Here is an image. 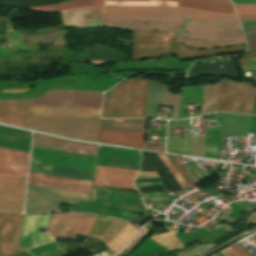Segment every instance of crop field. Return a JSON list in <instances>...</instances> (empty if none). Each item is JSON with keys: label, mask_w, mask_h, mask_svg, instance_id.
<instances>
[{"label": "crop field", "mask_w": 256, "mask_h": 256, "mask_svg": "<svg viewBox=\"0 0 256 256\" xmlns=\"http://www.w3.org/2000/svg\"><path fill=\"white\" fill-rule=\"evenodd\" d=\"M103 93L51 91L30 100V105L101 107ZM30 106L29 116L43 118L100 119L101 108ZM29 100H0V122L26 126ZM29 117L26 128L96 142L99 120ZM147 119H100L99 129L146 131Z\"/></svg>", "instance_id": "crop-field-1"}, {"label": "crop field", "mask_w": 256, "mask_h": 256, "mask_svg": "<svg viewBox=\"0 0 256 256\" xmlns=\"http://www.w3.org/2000/svg\"><path fill=\"white\" fill-rule=\"evenodd\" d=\"M101 25L126 30L179 31L177 42L199 49L246 43L235 15L191 9L105 6Z\"/></svg>", "instance_id": "crop-field-2"}, {"label": "crop field", "mask_w": 256, "mask_h": 256, "mask_svg": "<svg viewBox=\"0 0 256 256\" xmlns=\"http://www.w3.org/2000/svg\"><path fill=\"white\" fill-rule=\"evenodd\" d=\"M32 146L96 156L97 145L34 133ZM32 147V152L95 162L96 157ZM32 153L31 161L94 171L95 163ZM31 162L32 173L93 181L94 172ZM29 173L28 183L91 193L93 182Z\"/></svg>", "instance_id": "crop-field-3"}, {"label": "crop field", "mask_w": 256, "mask_h": 256, "mask_svg": "<svg viewBox=\"0 0 256 256\" xmlns=\"http://www.w3.org/2000/svg\"><path fill=\"white\" fill-rule=\"evenodd\" d=\"M31 132L0 126V147L29 153ZM0 148V183L25 184L29 154ZM25 185L0 184V211L21 212Z\"/></svg>", "instance_id": "crop-field-4"}, {"label": "crop field", "mask_w": 256, "mask_h": 256, "mask_svg": "<svg viewBox=\"0 0 256 256\" xmlns=\"http://www.w3.org/2000/svg\"><path fill=\"white\" fill-rule=\"evenodd\" d=\"M140 153L135 150L99 146L97 165L138 170ZM97 166L94 185L134 189L138 171ZM92 201L145 209L143 199L94 189Z\"/></svg>", "instance_id": "crop-field-5"}, {"label": "crop field", "mask_w": 256, "mask_h": 256, "mask_svg": "<svg viewBox=\"0 0 256 256\" xmlns=\"http://www.w3.org/2000/svg\"><path fill=\"white\" fill-rule=\"evenodd\" d=\"M178 32L134 31L133 59L161 57L173 53L183 59H199L225 53L245 52L246 45L231 46L214 51L191 50L175 43Z\"/></svg>", "instance_id": "crop-field-6"}, {"label": "crop field", "mask_w": 256, "mask_h": 256, "mask_svg": "<svg viewBox=\"0 0 256 256\" xmlns=\"http://www.w3.org/2000/svg\"><path fill=\"white\" fill-rule=\"evenodd\" d=\"M236 82L221 80L219 84L204 86L203 114L217 111L232 113ZM256 87L247 83H237L233 113L251 114Z\"/></svg>", "instance_id": "crop-field-7"}, {"label": "crop field", "mask_w": 256, "mask_h": 256, "mask_svg": "<svg viewBox=\"0 0 256 256\" xmlns=\"http://www.w3.org/2000/svg\"><path fill=\"white\" fill-rule=\"evenodd\" d=\"M127 80L105 94L103 118L122 117ZM148 79H128L123 117H143Z\"/></svg>", "instance_id": "crop-field-8"}, {"label": "crop field", "mask_w": 256, "mask_h": 256, "mask_svg": "<svg viewBox=\"0 0 256 256\" xmlns=\"http://www.w3.org/2000/svg\"><path fill=\"white\" fill-rule=\"evenodd\" d=\"M94 219V216L83 214H55L52 216L50 227L45 233L55 238H75L76 234L87 236Z\"/></svg>", "instance_id": "crop-field-9"}, {"label": "crop field", "mask_w": 256, "mask_h": 256, "mask_svg": "<svg viewBox=\"0 0 256 256\" xmlns=\"http://www.w3.org/2000/svg\"><path fill=\"white\" fill-rule=\"evenodd\" d=\"M51 216L52 215H24L20 246L25 251L55 242L54 238L43 232H39V229L48 227Z\"/></svg>", "instance_id": "crop-field-10"}, {"label": "crop field", "mask_w": 256, "mask_h": 256, "mask_svg": "<svg viewBox=\"0 0 256 256\" xmlns=\"http://www.w3.org/2000/svg\"><path fill=\"white\" fill-rule=\"evenodd\" d=\"M180 98L181 94H171L165 84L149 79L144 117L157 118L158 103H165L173 105V119H178Z\"/></svg>", "instance_id": "crop-field-11"}, {"label": "crop field", "mask_w": 256, "mask_h": 256, "mask_svg": "<svg viewBox=\"0 0 256 256\" xmlns=\"http://www.w3.org/2000/svg\"><path fill=\"white\" fill-rule=\"evenodd\" d=\"M22 216L20 214L0 213V228H3L0 240L2 256L23 252L18 246Z\"/></svg>", "instance_id": "crop-field-12"}, {"label": "crop field", "mask_w": 256, "mask_h": 256, "mask_svg": "<svg viewBox=\"0 0 256 256\" xmlns=\"http://www.w3.org/2000/svg\"><path fill=\"white\" fill-rule=\"evenodd\" d=\"M146 132L100 130L99 142L142 148Z\"/></svg>", "instance_id": "crop-field-13"}, {"label": "crop field", "mask_w": 256, "mask_h": 256, "mask_svg": "<svg viewBox=\"0 0 256 256\" xmlns=\"http://www.w3.org/2000/svg\"><path fill=\"white\" fill-rule=\"evenodd\" d=\"M103 7H84L60 12L64 26L84 27L100 19Z\"/></svg>", "instance_id": "crop-field-14"}, {"label": "crop field", "mask_w": 256, "mask_h": 256, "mask_svg": "<svg viewBox=\"0 0 256 256\" xmlns=\"http://www.w3.org/2000/svg\"><path fill=\"white\" fill-rule=\"evenodd\" d=\"M136 1H149V0H136ZM169 1L177 2V0H169ZM177 7L191 8V9H197V10L213 12V13L235 14L232 6L227 4H214V3H207V2L193 1V0H178Z\"/></svg>", "instance_id": "crop-field-15"}, {"label": "crop field", "mask_w": 256, "mask_h": 256, "mask_svg": "<svg viewBox=\"0 0 256 256\" xmlns=\"http://www.w3.org/2000/svg\"><path fill=\"white\" fill-rule=\"evenodd\" d=\"M219 127L206 128L205 157L219 158Z\"/></svg>", "instance_id": "crop-field-16"}, {"label": "crop field", "mask_w": 256, "mask_h": 256, "mask_svg": "<svg viewBox=\"0 0 256 256\" xmlns=\"http://www.w3.org/2000/svg\"><path fill=\"white\" fill-rule=\"evenodd\" d=\"M80 6H103V0H80V1L61 3V4H57V5L31 7L28 9L36 10V11L50 12V11H56V10L61 11L64 9L75 8V7H80Z\"/></svg>", "instance_id": "crop-field-17"}, {"label": "crop field", "mask_w": 256, "mask_h": 256, "mask_svg": "<svg viewBox=\"0 0 256 256\" xmlns=\"http://www.w3.org/2000/svg\"><path fill=\"white\" fill-rule=\"evenodd\" d=\"M188 137L185 139H167V152L189 155L190 149V119L185 120Z\"/></svg>", "instance_id": "crop-field-18"}, {"label": "crop field", "mask_w": 256, "mask_h": 256, "mask_svg": "<svg viewBox=\"0 0 256 256\" xmlns=\"http://www.w3.org/2000/svg\"><path fill=\"white\" fill-rule=\"evenodd\" d=\"M135 227L127 223L124 229L107 245L114 251H119L138 232Z\"/></svg>", "instance_id": "crop-field-19"}, {"label": "crop field", "mask_w": 256, "mask_h": 256, "mask_svg": "<svg viewBox=\"0 0 256 256\" xmlns=\"http://www.w3.org/2000/svg\"><path fill=\"white\" fill-rule=\"evenodd\" d=\"M184 102H203V87L183 88L179 119L184 118Z\"/></svg>", "instance_id": "crop-field-20"}, {"label": "crop field", "mask_w": 256, "mask_h": 256, "mask_svg": "<svg viewBox=\"0 0 256 256\" xmlns=\"http://www.w3.org/2000/svg\"><path fill=\"white\" fill-rule=\"evenodd\" d=\"M105 5H116V6H171V7H176L177 3L168 2V1H149V2L105 1Z\"/></svg>", "instance_id": "crop-field-21"}, {"label": "crop field", "mask_w": 256, "mask_h": 256, "mask_svg": "<svg viewBox=\"0 0 256 256\" xmlns=\"http://www.w3.org/2000/svg\"><path fill=\"white\" fill-rule=\"evenodd\" d=\"M111 221V219L97 217L88 236L100 238Z\"/></svg>", "instance_id": "crop-field-22"}, {"label": "crop field", "mask_w": 256, "mask_h": 256, "mask_svg": "<svg viewBox=\"0 0 256 256\" xmlns=\"http://www.w3.org/2000/svg\"><path fill=\"white\" fill-rule=\"evenodd\" d=\"M243 30L248 42L247 53H256V27L245 28Z\"/></svg>", "instance_id": "crop-field-23"}, {"label": "crop field", "mask_w": 256, "mask_h": 256, "mask_svg": "<svg viewBox=\"0 0 256 256\" xmlns=\"http://www.w3.org/2000/svg\"><path fill=\"white\" fill-rule=\"evenodd\" d=\"M167 157L170 159V161L173 163V165L176 167L178 172L180 173L181 177L184 179V181L187 183L188 186H191L194 183L190 175L187 173L183 165L179 162L177 157L174 156H168Z\"/></svg>", "instance_id": "crop-field-24"}, {"label": "crop field", "mask_w": 256, "mask_h": 256, "mask_svg": "<svg viewBox=\"0 0 256 256\" xmlns=\"http://www.w3.org/2000/svg\"><path fill=\"white\" fill-rule=\"evenodd\" d=\"M57 250H60V249L57 246H55L53 243H51L27 252L32 256H40V255H44Z\"/></svg>", "instance_id": "crop-field-25"}, {"label": "crop field", "mask_w": 256, "mask_h": 256, "mask_svg": "<svg viewBox=\"0 0 256 256\" xmlns=\"http://www.w3.org/2000/svg\"><path fill=\"white\" fill-rule=\"evenodd\" d=\"M161 158V160L165 163V165L170 169V171L172 172V174L174 175V177L178 180V182L180 183V185L182 186V188L188 187L186 185V183L183 181V179L180 177V175L178 174L177 170L175 169V167L172 165V163L169 161V159L166 157V155H161L158 154Z\"/></svg>", "instance_id": "crop-field-26"}, {"label": "crop field", "mask_w": 256, "mask_h": 256, "mask_svg": "<svg viewBox=\"0 0 256 256\" xmlns=\"http://www.w3.org/2000/svg\"><path fill=\"white\" fill-rule=\"evenodd\" d=\"M238 14L256 13V4L234 5Z\"/></svg>", "instance_id": "crop-field-27"}, {"label": "crop field", "mask_w": 256, "mask_h": 256, "mask_svg": "<svg viewBox=\"0 0 256 256\" xmlns=\"http://www.w3.org/2000/svg\"><path fill=\"white\" fill-rule=\"evenodd\" d=\"M240 65H256V54L245 55Z\"/></svg>", "instance_id": "crop-field-28"}, {"label": "crop field", "mask_w": 256, "mask_h": 256, "mask_svg": "<svg viewBox=\"0 0 256 256\" xmlns=\"http://www.w3.org/2000/svg\"><path fill=\"white\" fill-rule=\"evenodd\" d=\"M192 171L196 174L199 180L206 178V175L201 171L196 163L190 164Z\"/></svg>", "instance_id": "crop-field-29"}, {"label": "crop field", "mask_w": 256, "mask_h": 256, "mask_svg": "<svg viewBox=\"0 0 256 256\" xmlns=\"http://www.w3.org/2000/svg\"><path fill=\"white\" fill-rule=\"evenodd\" d=\"M231 247L239 252L242 256H252L248 251H246L242 246L238 245L237 243Z\"/></svg>", "instance_id": "crop-field-30"}, {"label": "crop field", "mask_w": 256, "mask_h": 256, "mask_svg": "<svg viewBox=\"0 0 256 256\" xmlns=\"http://www.w3.org/2000/svg\"><path fill=\"white\" fill-rule=\"evenodd\" d=\"M233 4H250L256 3V0H232Z\"/></svg>", "instance_id": "crop-field-31"}, {"label": "crop field", "mask_w": 256, "mask_h": 256, "mask_svg": "<svg viewBox=\"0 0 256 256\" xmlns=\"http://www.w3.org/2000/svg\"><path fill=\"white\" fill-rule=\"evenodd\" d=\"M240 21L256 20V15L238 16Z\"/></svg>", "instance_id": "crop-field-32"}, {"label": "crop field", "mask_w": 256, "mask_h": 256, "mask_svg": "<svg viewBox=\"0 0 256 256\" xmlns=\"http://www.w3.org/2000/svg\"><path fill=\"white\" fill-rule=\"evenodd\" d=\"M224 252H226L227 254H229L230 256H241L239 253H237L234 249H232L231 247L228 248L227 250H225Z\"/></svg>", "instance_id": "crop-field-33"}, {"label": "crop field", "mask_w": 256, "mask_h": 256, "mask_svg": "<svg viewBox=\"0 0 256 256\" xmlns=\"http://www.w3.org/2000/svg\"><path fill=\"white\" fill-rule=\"evenodd\" d=\"M143 198H151V197H159V196H164L163 193H158V194H146V195H142Z\"/></svg>", "instance_id": "crop-field-34"}, {"label": "crop field", "mask_w": 256, "mask_h": 256, "mask_svg": "<svg viewBox=\"0 0 256 256\" xmlns=\"http://www.w3.org/2000/svg\"><path fill=\"white\" fill-rule=\"evenodd\" d=\"M241 24H242V27L245 28V27L255 26L256 21L244 22V23H241Z\"/></svg>", "instance_id": "crop-field-35"}, {"label": "crop field", "mask_w": 256, "mask_h": 256, "mask_svg": "<svg viewBox=\"0 0 256 256\" xmlns=\"http://www.w3.org/2000/svg\"><path fill=\"white\" fill-rule=\"evenodd\" d=\"M69 210H74V211H84V212H92V213H97V214H102V213H98V212H94V211H90V210H84V209H79V208H73V207H70ZM103 215H106V214H103ZM110 216V215H109Z\"/></svg>", "instance_id": "crop-field-36"}, {"label": "crop field", "mask_w": 256, "mask_h": 256, "mask_svg": "<svg viewBox=\"0 0 256 256\" xmlns=\"http://www.w3.org/2000/svg\"><path fill=\"white\" fill-rule=\"evenodd\" d=\"M201 1H208V2H217V3H230V0H201Z\"/></svg>", "instance_id": "crop-field-37"}, {"label": "crop field", "mask_w": 256, "mask_h": 256, "mask_svg": "<svg viewBox=\"0 0 256 256\" xmlns=\"http://www.w3.org/2000/svg\"><path fill=\"white\" fill-rule=\"evenodd\" d=\"M145 148L153 149V150H159V151H163L164 150V148H162V147H156V146H150V145H147Z\"/></svg>", "instance_id": "crop-field-38"}, {"label": "crop field", "mask_w": 256, "mask_h": 256, "mask_svg": "<svg viewBox=\"0 0 256 256\" xmlns=\"http://www.w3.org/2000/svg\"><path fill=\"white\" fill-rule=\"evenodd\" d=\"M146 229L147 228H145L144 231L141 233V235L137 239H135L127 248H130L134 243H136L140 239V237L142 236V234L145 232Z\"/></svg>", "instance_id": "crop-field-39"}, {"label": "crop field", "mask_w": 256, "mask_h": 256, "mask_svg": "<svg viewBox=\"0 0 256 256\" xmlns=\"http://www.w3.org/2000/svg\"><path fill=\"white\" fill-rule=\"evenodd\" d=\"M36 81H44V79H41V80H36Z\"/></svg>", "instance_id": "crop-field-40"}, {"label": "crop field", "mask_w": 256, "mask_h": 256, "mask_svg": "<svg viewBox=\"0 0 256 256\" xmlns=\"http://www.w3.org/2000/svg\"><path fill=\"white\" fill-rule=\"evenodd\" d=\"M252 71H254V70H252Z\"/></svg>", "instance_id": "crop-field-41"}, {"label": "crop field", "mask_w": 256, "mask_h": 256, "mask_svg": "<svg viewBox=\"0 0 256 256\" xmlns=\"http://www.w3.org/2000/svg\"><path fill=\"white\" fill-rule=\"evenodd\" d=\"M0 231H1V229H0Z\"/></svg>", "instance_id": "crop-field-42"}]
</instances>
